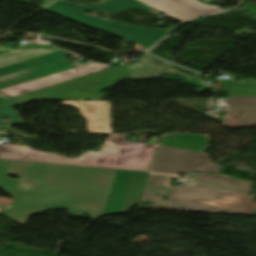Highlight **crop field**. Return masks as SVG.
I'll list each match as a JSON object with an SVG mask.
<instances>
[{
    "label": "crop field",
    "mask_w": 256,
    "mask_h": 256,
    "mask_svg": "<svg viewBox=\"0 0 256 256\" xmlns=\"http://www.w3.org/2000/svg\"><path fill=\"white\" fill-rule=\"evenodd\" d=\"M116 170L14 161L9 174L21 176L8 218L25 225L27 216L59 207L100 217ZM21 183L33 184L24 191Z\"/></svg>",
    "instance_id": "obj_1"
},
{
    "label": "crop field",
    "mask_w": 256,
    "mask_h": 256,
    "mask_svg": "<svg viewBox=\"0 0 256 256\" xmlns=\"http://www.w3.org/2000/svg\"><path fill=\"white\" fill-rule=\"evenodd\" d=\"M126 138L109 136L99 153L90 150L76 160L27 146L0 144V159L148 171L157 145L125 141Z\"/></svg>",
    "instance_id": "obj_2"
},
{
    "label": "crop field",
    "mask_w": 256,
    "mask_h": 256,
    "mask_svg": "<svg viewBox=\"0 0 256 256\" xmlns=\"http://www.w3.org/2000/svg\"><path fill=\"white\" fill-rule=\"evenodd\" d=\"M56 51L59 52L25 63L2 68ZM65 55L66 53L62 49L52 46H39L36 44L23 48L0 47V68H2L0 69V90L67 69L93 63L91 61L84 64L69 63Z\"/></svg>",
    "instance_id": "obj_3"
},
{
    "label": "crop field",
    "mask_w": 256,
    "mask_h": 256,
    "mask_svg": "<svg viewBox=\"0 0 256 256\" xmlns=\"http://www.w3.org/2000/svg\"><path fill=\"white\" fill-rule=\"evenodd\" d=\"M129 7L140 8L144 10L152 9L151 7L137 0H110L104 4H93L86 8L69 1L60 0L45 10L116 35L126 40L135 42L148 48H150L154 43H156L159 39L168 33L160 29L142 28L139 26L127 27L116 22H109L91 17L85 13L97 8L103 10L104 13L121 12L128 9Z\"/></svg>",
    "instance_id": "obj_4"
},
{
    "label": "crop field",
    "mask_w": 256,
    "mask_h": 256,
    "mask_svg": "<svg viewBox=\"0 0 256 256\" xmlns=\"http://www.w3.org/2000/svg\"><path fill=\"white\" fill-rule=\"evenodd\" d=\"M167 201L174 206L205 212L210 208L250 216L254 196L246 192L193 181L184 189H177Z\"/></svg>",
    "instance_id": "obj_5"
},
{
    "label": "crop field",
    "mask_w": 256,
    "mask_h": 256,
    "mask_svg": "<svg viewBox=\"0 0 256 256\" xmlns=\"http://www.w3.org/2000/svg\"><path fill=\"white\" fill-rule=\"evenodd\" d=\"M129 66H120L47 87L22 96L19 100L101 99L100 90L126 79Z\"/></svg>",
    "instance_id": "obj_6"
},
{
    "label": "crop field",
    "mask_w": 256,
    "mask_h": 256,
    "mask_svg": "<svg viewBox=\"0 0 256 256\" xmlns=\"http://www.w3.org/2000/svg\"><path fill=\"white\" fill-rule=\"evenodd\" d=\"M148 173L117 170L101 215L126 212L139 203Z\"/></svg>",
    "instance_id": "obj_7"
},
{
    "label": "crop field",
    "mask_w": 256,
    "mask_h": 256,
    "mask_svg": "<svg viewBox=\"0 0 256 256\" xmlns=\"http://www.w3.org/2000/svg\"><path fill=\"white\" fill-rule=\"evenodd\" d=\"M207 171L219 174L207 153L161 146L151 172Z\"/></svg>",
    "instance_id": "obj_8"
},
{
    "label": "crop field",
    "mask_w": 256,
    "mask_h": 256,
    "mask_svg": "<svg viewBox=\"0 0 256 256\" xmlns=\"http://www.w3.org/2000/svg\"><path fill=\"white\" fill-rule=\"evenodd\" d=\"M62 104L77 107L87 119V131L94 134H113L112 107L108 101H62Z\"/></svg>",
    "instance_id": "obj_9"
},
{
    "label": "crop field",
    "mask_w": 256,
    "mask_h": 256,
    "mask_svg": "<svg viewBox=\"0 0 256 256\" xmlns=\"http://www.w3.org/2000/svg\"><path fill=\"white\" fill-rule=\"evenodd\" d=\"M154 9L185 22L196 16L222 11L218 6L202 4L197 0H139Z\"/></svg>",
    "instance_id": "obj_10"
},
{
    "label": "crop field",
    "mask_w": 256,
    "mask_h": 256,
    "mask_svg": "<svg viewBox=\"0 0 256 256\" xmlns=\"http://www.w3.org/2000/svg\"><path fill=\"white\" fill-rule=\"evenodd\" d=\"M108 67L109 65H106V64L93 63V64L67 70L61 73H57L48 77H44L32 82H28V83H25L16 87H12L9 89L1 90V91L11 96H14V95L29 92L32 90L40 89L46 86H50V85H53L62 81H66L72 78L83 76L89 73L107 69Z\"/></svg>",
    "instance_id": "obj_11"
},
{
    "label": "crop field",
    "mask_w": 256,
    "mask_h": 256,
    "mask_svg": "<svg viewBox=\"0 0 256 256\" xmlns=\"http://www.w3.org/2000/svg\"><path fill=\"white\" fill-rule=\"evenodd\" d=\"M231 109L223 122L233 127L256 126V97H228Z\"/></svg>",
    "instance_id": "obj_12"
},
{
    "label": "crop field",
    "mask_w": 256,
    "mask_h": 256,
    "mask_svg": "<svg viewBox=\"0 0 256 256\" xmlns=\"http://www.w3.org/2000/svg\"><path fill=\"white\" fill-rule=\"evenodd\" d=\"M209 137L199 134H171L163 138L161 145L204 152Z\"/></svg>",
    "instance_id": "obj_13"
},
{
    "label": "crop field",
    "mask_w": 256,
    "mask_h": 256,
    "mask_svg": "<svg viewBox=\"0 0 256 256\" xmlns=\"http://www.w3.org/2000/svg\"><path fill=\"white\" fill-rule=\"evenodd\" d=\"M172 176L151 174L140 203L158 204L163 197L161 192L171 193L175 187L167 185Z\"/></svg>",
    "instance_id": "obj_14"
},
{
    "label": "crop field",
    "mask_w": 256,
    "mask_h": 256,
    "mask_svg": "<svg viewBox=\"0 0 256 256\" xmlns=\"http://www.w3.org/2000/svg\"><path fill=\"white\" fill-rule=\"evenodd\" d=\"M194 179L216 184V185L230 187L234 189L244 190V191H248V188L252 185L249 183L232 180V179H228L220 176H215L211 174H206V173H196V176Z\"/></svg>",
    "instance_id": "obj_15"
},
{
    "label": "crop field",
    "mask_w": 256,
    "mask_h": 256,
    "mask_svg": "<svg viewBox=\"0 0 256 256\" xmlns=\"http://www.w3.org/2000/svg\"><path fill=\"white\" fill-rule=\"evenodd\" d=\"M26 103L8 96L0 98V124H23L11 107ZM8 117L10 121L3 122L1 118Z\"/></svg>",
    "instance_id": "obj_16"
},
{
    "label": "crop field",
    "mask_w": 256,
    "mask_h": 256,
    "mask_svg": "<svg viewBox=\"0 0 256 256\" xmlns=\"http://www.w3.org/2000/svg\"><path fill=\"white\" fill-rule=\"evenodd\" d=\"M227 84L229 96H256V80H246L243 84L220 81V85Z\"/></svg>",
    "instance_id": "obj_17"
},
{
    "label": "crop field",
    "mask_w": 256,
    "mask_h": 256,
    "mask_svg": "<svg viewBox=\"0 0 256 256\" xmlns=\"http://www.w3.org/2000/svg\"><path fill=\"white\" fill-rule=\"evenodd\" d=\"M12 162L13 161L0 160V187L14 196L19 181L7 178Z\"/></svg>",
    "instance_id": "obj_18"
},
{
    "label": "crop field",
    "mask_w": 256,
    "mask_h": 256,
    "mask_svg": "<svg viewBox=\"0 0 256 256\" xmlns=\"http://www.w3.org/2000/svg\"><path fill=\"white\" fill-rule=\"evenodd\" d=\"M1 96H5V95H3V94L0 93V97H1Z\"/></svg>",
    "instance_id": "obj_19"
}]
</instances>
